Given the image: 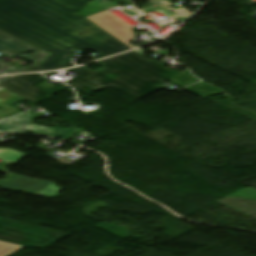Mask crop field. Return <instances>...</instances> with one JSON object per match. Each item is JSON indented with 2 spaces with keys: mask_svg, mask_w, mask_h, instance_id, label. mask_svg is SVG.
Listing matches in <instances>:
<instances>
[{
  "mask_svg": "<svg viewBox=\"0 0 256 256\" xmlns=\"http://www.w3.org/2000/svg\"><path fill=\"white\" fill-rule=\"evenodd\" d=\"M0 30L51 53L25 72L65 68L75 49L93 50V60L130 50L87 18L54 28L1 2Z\"/></svg>",
  "mask_w": 256,
  "mask_h": 256,
  "instance_id": "8a807250",
  "label": "crop field"
},
{
  "mask_svg": "<svg viewBox=\"0 0 256 256\" xmlns=\"http://www.w3.org/2000/svg\"><path fill=\"white\" fill-rule=\"evenodd\" d=\"M103 70L94 72L85 66L70 69L78 74L67 85L89 94L106 86L141 98L161 90L154 86L164 80L180 87L200 81L189 71L178 73L144 56L139 49L97 62Z\"/></svg>",
  "mask_w": 256,
  "mask_h": 256,
  "instance_id": "ac0d7876",
  "label": "crop field"
},
{
  "mask_svg": "<svg viewBox=\"0 0 256 256\" xmlns=\"http://www.w3.org/2000/svg\"><path fill=\"white\" fill-rule=\"evenodd\" d=\"M28 15L58 27L85 17L75 14L91 0H0Z\"/></svg>",
  "mask_w": 256,
  "mask_h": 256,
  "instance_id": "34b2d1b8",
  "label": "crop field"
},
{
  "mask_svg": "<svg viewBox=\"0 0 256 256\" xmlns=\"http://www.w3.org/2000/svg\"><path fill=\"white\" fill-rule=\"evenodd\" d=\"M67 234L0 217V241L44 249Z\"/></svg>",
  "mask_w": 256,
  "mask_h": 256,
  "instance_id": "412701ff",
  "label": "crop field"
},
{
  "mask_svg": "<svg viewBox=\"0 0 256 256\" xmlns=\"http://www.w3.org/2000/svg\"><path fill=\"white\" fill-rule=\"evenodd\" d=\"M24 156L26 154L10 149H0V159L3 160L0 163V171L8 174L7 177H9L6 181L0 180V188L32 193L49 198H52L64 189V187L59 188L55 183L33 180L9 173V170L6 168L10 164H16Z\"/></svg>",
  "mask_w": 256,
  "mask_h": 256,
  "instance_id": "f4fd0767",
  "label": "crop field"
},
{
  "mask_svg": "<svg viewBox=\"0 0 256 256\" xmlns=\"http://www.w3.org/2000/svg\"><path fill=\"white\" fill-rule=\"evenodd\" d=\"M32 51L33 53L26 57L22 55L21 53ZM0 53L6 54L8 56L14 57L18 56L20 58L26 59L28 61H31L33 63L24 66L20 69L13 68L10 66L7 74L11 73H18L23 72L45 60V58L49 55V53H46L18 38H15L3 31H0ZM8 63L3 62L0 60V75L4 74L8 67Z\"/></svg>",
  "mask_w": 256,
  "mask_h": 256,
  "instance_id": "dd49c442",
  "label": "crop field"
},
{
  "mask_svg": "<svg viewBox=\"0 0 256 256\" xmlns=\"http://www.w3.org/2000/svg\"><path fill=\"white\" fill-rule=\"evenodd\" d=\"M44 79L45 78L40 74L18 75L1 83L0 86L34 104L53 97L51 95L52 93L68 88V86L64 85L63 83L52 86L45 90L33 86Z\"/></svg>",
  "mask_w": 256,
  "mask_h": 256,
  "instance_id": "e52e79f7",
  "label": "crop field"
},
{
  "mask_svg": "<svg viewBox=\"0 0 256 256\" xmlns=\"http://www.w3.org/2000/svg\"><path fill=\"white\" fill-rule=\"evenodd\" d=\"M36 118L37 117L32 116L30 118L24 119L17 123L1 128L0 131L12 133H34L51 137H60L62 139L68 140L70 137H72L76 132L80 130L79 128L76 127L51 128L30 124Z\"/></svg>",
  "mask_w": 256,
  "mask_h": 256,
  "instance_id": "d8731c3e",
  "label": "crop field"
},
{
  "mask_svg": "<svg viewBox=\"0 0 256 256\" xmlns=\"http://www.w3.org/2000/svg\"><path fill=\"white\" fill-rule=\"evenodd\" d=\"M88 18L105 29L112 36L120 40L122 43L127 45L129 48H136L129 43L132 41L133 37V30L131 26L110 12L106 11Z\"/></svg>",
  "mask_w": 256,
  "mask_h": 256,
  "instance_id": "5a996713",
  "label": "crop field"
},
{
  "mask_svg": "<svg viewBox=\"0 0 256 256\" xmlns=\"http://www.w3.org/2000/svg\"><path fill=\"white\" fill-rule=\"evenodd\" d=\"M17 98H20V97L5 89L0 91V107H1V115L3 119H6L8 117L21 113L20 111L6 104V102L17 99Z\"/></svg>",
  "mask_w": 256,
  "mask_h": 256,
  "instance_id": "3316defc",
  "label": "crop field"
},
{
  "mask_svg": "<svg viewBox=\"0 0 256 256\" xmlns=\"http://www.w3.org/2000/svg\"><path fill=\"white\" fill-rule=\"evenodd\" d=\"M202 98L208 97L210 95L223 94V92L215 87H212L204 82L195 84L193 86L184 88Z\"/></svg>",
  "mask_w": 256,
  "mask_h": 256,
  "instance_id": "28ad6ade",
  "label": "crop field"
},
{
  "mask_svg": "<svg viewBox=\"0 0 256 256\" xmlns=\"http://www.w3.org/2000/svg\"><path fill=\"white\" fill-rule=\"evenodd\" d=\"M140 11L144 12V13H149V12H153V11H157L162 13L163 15H165L169 20L176 22V23H182L186 20V18L180 17L170 11H167L165 9H163L162 7L148 2L146 3L141 9Z\"/></svg>",
  "mask_w": 256,
  "mask_h": 256,
  "instance_id": "d1516ede",
  "label": "crop field"
},
{
  "mask_svg": "<svg viewBox=\"0 0 256 256\" xmlns=\"http://www.w3.org/2000/svg\"><path fill=\"white\" fill-rule=\"evenodd\" d=\"M20 248L21 246L0 242V256H9Z\"/></svg>",
  "mask_w": 256,
  "mask_h": 256,
  "instance_id": "22f410ed",
  "label": "crop field"
},
{
  "mask_svg": "<svg viewBox=\"0 0 256 256\" xmlns=\"http://www.w3.org/2000/svg\"><path fill=\"white\" fill-rule=\"evenodd\" d=\"M30 116H32V115H30V114H28V113H25V114H22V115H20V116L14 117V118L9 119V120H6V121H4V122H1V123H0V128H1V127H4V126H6V125H9V124H11V123L17 122V121H19V120H22V119H24V118L30 117Z\"/></svg>",
  "mask_w": 256,
  "mask_h": 256,
  "instance_id": "cbeb9de0",
  "label": "crop field"
},
{
  "mask_svg": "<svg viewBox=\"0 0 256 256\" xmlns=\"http://www.w3.org/2000/svg\"><path fill=\"white\" fill-rule=\"evenodd\" d=\"M122 11L126 14H129V15H132V16H135V15H138L139 13H136V12H133V11H129V10H126V9H122Z\"/></svg>",
  "mask_w": 256,
  "mask_h": 256,
  "instance_id": "5142ce71",
  "label": "crop field"
},
{
  "mask_svg": "<svg viewBox=\"0 0 256 256\" xmlns=\"http://www.w3.org/2000/svg\"><path fill=\"white\" fill-rule=\"evenodd\" d=\"M11 77H13V76H4V77H0V83L3 82V81H5V80H7V79H9V78H11Z\"/></svg>",
  "mask_w": 256,
  "mask_h": 256,
  "instance_id": "d9b57169",
  "label": "crop field"
},
{
  "mask_svg": "<svg viewBox=\"0 0 256 256\" xmlns=\"http://www.w3.org/2000/svg\"><path fill=\"white\" fill-rule=\"evenodd\" d=\"M55 73H57V72L43 73V75H45L46 77H49V76H51V75H53Z\"/></svg>",
  "mask_w": 256,
  "mask_h": 256,
  "instance_id": "733c2abd",
  "label": "crop field"
},
{
  "mask_svg": "<svg viewBox=\"0 0 256 256\" xmlns=\"http://www.w3.org/2000/svg\"><path fill=\"white\" fill-rule=\"evenodd\" d=\"M168 1H174V0H168Z\"/></svg>",
  "mask_w": 256,
  "mask_h": 256,
  "instance_id": "4a817a6b",
  "label": "crop field"
}]
</instances>
